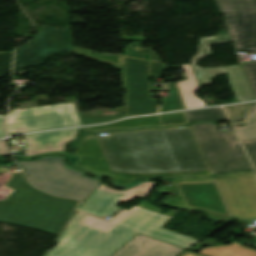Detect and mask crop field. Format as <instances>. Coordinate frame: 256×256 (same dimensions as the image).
Returning <instances> with one entry per match:
<instances>
[{"label": "crop field", "instance_id": "1", "mask_svg": "<svg viewBox=\"0 0 256 256\" xmlns=\"http://www.w3.org/2000/svg\"><path fill=\"white\" fill-rule=\"evenodd\" d=\"M111 171L139 175L209 170L188 126L97 139Z\"/></svg>", "mask_w": 256, "mask_h": 256}, {"label": "crop field", "instance_id": "2", "mask_svg": "<svg viewBox=\"0 0 256 256\" xmlns=\"http://www.w3.org/2000/svg\"><path fill=\"white\" fill-rule=\"evenodd\" d=\"M169 219L137 206L122 209L110 222L78 212L46 256H110L137 233L185 249L199 242L162 229Z\"/></svg>", "mask_w": 256, "mask_h": 256}, {"label": "crop field", "instance_id": "3", "mask_svg": "<svg viewBox=\"0 0 256 256\" xmlns=\"http://www.w3.org/2000/svg\"><path fill=\"white\" fill-rule=\"evenodd\" d=\"M11 174L4 185L11 191L0 201V221L60 234L78 200L53 197L30 186L22 172Z\"/></svg>", "mask_w": 256, "mask_h": 256}, {"label": "crop field", "instance_id": "4", "mask_svg": "<svg viewBox=\"0 0 256 256\" xmlns=\"http://www.w3.org/2000/svg\"><path fill=\"white\" fill-rule=\"evenodd\" d=\"M143 54L150 55L151 61H145ZM166 64L151 48L142 49L141 43L129 45V57L124 59L123 83L127 89V116L157 113L158 100L151 99L150 91H160L150 84L149 77H161Z\"/></svg>", "mask_w": 256, "mask_h": 256}, {"label": "crop field", "instance_id": "5", "mask_svg": "<svg viewBox=\"0 0 256 256\" xmlns=\"http://www.w3.org/2000/svg\"><path fill=\"white\" fill-rule=\"evenodd\" d=\"M63 162L61 157L18 161L33 186L56 196L86 201L100 180L84 177L83 173L63 166Z\"/></svg>", "mask_w": 256, "mask_h": 256}, {"label": "crop field", "instance_id": "6", "mask_svg": "<svg viewBox=\"0 0 256 256\" xmlns=\"http://www.w3.org/2000/svg\"><path fill=\"white\" fill-rule=\"evenodd\" d=\"M212 176L220 172L252 169L234 132L218 131L216 124L189 126Z\"/></svg>", "mask_w": 256, "mask_h": 256}, {"label": "crop field", "instance_id": "7", "mask_svg": "<svg viewBox=\"0 0 256 256\" xmlns=\"http://www.w3.org/2000/svg\"><path fill=\"white\" fill-rule=\"evenodd\" d=\"M46 99L37 96L32 101L22 103L20 107L9 114L6 125L9 135L46 129L81 125L76 113L78 112L77 98H66V104L55 105L53 109L37 106L38 100ZM60 108H69L70 114L61 115Z\"/></svg>", "mask_w": 256, "mask_h": 256}, {"label": "crop field", "instance_id": "8", "mask_svg": "<svg viewBox=\"0 0 256 256\" xmlns=\"http://www.w3.org/2000/svg\"><path fill=\"white\" fill-rule=\"evenodd\" d=\"M160 190L178 194L177 197L166 200L164 204L202 210L213 220L230 219L213 179L181 178Z\"/></svg>", "mask_w": 256, "mask_h": 256}, {"label": "crop field", "instance_id": "9", "mask_svg": "<svg viewBox=\"0 0 256 256\" xmlns=\"http://www.w3.org/2000/svg\"><path fill=\"white\" fill-rule=\"evenodd\" d=\"M71 27L43 26L34 39L16 49L13 74L22 68L41 64L43 60L56 53H72Z\"/></svg>", "mask_w": 256, "mask_h": 256}, {"label": "crop field", "instance_id": "10", "mask_svg": "<svg viewBox=\"0 0 256 256\" xmlns=\"http://www.w3.org/2000/svg\"><path fill=\"white\" fill-rule=\"evenodd\" d=\"M235 48L256 52V0H216Z\"/></svg>", "mask_w": 256, "mask_h": 256}, {"label": "crop field", "instance_id": "11", "mask_svg": "<svg viewBox=\"0 0 256 256\" xmlns=\"http://www.w3.org/2000/svg\"><path fill=\"white\" fill-rule=\"evenodd\" d=\"M233 219H256V178L244 171L215 178Z\"/></svg>", "mask_w": 256, "mask_h": 256}, {"label": "crop field", "instance_id": "12", "mask_svg": "<svg viewBox=\"0 0 256 256\" xmlns=\"http://www.w3.org/2000/svg\"><path fill=\"white\" fill-rule=\"evenodd\" d=\"M225 41H231L228 33L218 34L210 38L200 39V45L198 48L199 53L191 61V66L194 71L198 85L202 86V85L211 84L212 77L219 74L227 73L229 84L233 92L235 93L238 102L255 99L240 65L202 69L201 67L195 64V62L201 57L211 54L207 44L225 42Z\"/></svg>", "mask_w": 256, "mask_h": 256}, {"label": "crop field", "instance_id": "13", "mask_svg": "<svg viewBox=\"0 0 256 256\" xmlns=\"http://www.w3.org/2000/svg\"><path fill=\"white\" fill-rule=\"evenodd\" d=\"M149 130V129H144ZM113 133H109L111 135ZM103 137L99 135L90 134L85 137V139L80 143V145L75 149L73 154L79 157L78 162L75 166L82 167L92 171L95 174H106L114 177V183L117 185H127L132 181L140 177H168L174 178L181 175L193 176V177H204L211 175L209 171L203 172H189V173H175V174H163V175H150V176H139L130 175L122 173L110 172L98 142L96 138Z\"/></svg>", "mask_w": 256, "mask_h": 256}, {"label": "crop field", "instance_id": "14", "mask_svg": "<svg viewBox=\"0 0 256 256\" xmlns=\"http://www.w3.org/2000/svg\"><path fill=\"white\" fill-rule=\"evenodd\" d=\"M154 184L156 181H144L123 191H115L108 188L106 184H100L78 210L103 218L113 216L120 209L115 205L118 201L131 200L134 196L145 198Z\"/></svg>", "mask_w": 256, "mask_h": 256}, {"label": "crop field", "instance_id": "15", "mask_svg": "<svg viewBox=\"0 0 256 256\" xmlns=\"http://www.w3.org/2000/svg\"><path fill=\"white\" fill-rule=\"evenodd\" d=\"M81 129L82 128L24 136L27 142L25 146V156L48 152H64L65 144L74 140L77 131Z\"/></svg>", "mask_w": 256, "mask_h": 256}, {"label": "crop field", "instance_id": "16", "mask_svg": "<svg viewBox=\"0 0 256 256\" xmlns=\"http://www.w3.org/2000/svg\"><path fill=\"white\" fill-rule=\"evenodd\" d=\"M183 250L162 241L138 234L113 256H177Z\"/></svg>", "mask_w": 256, "mask_h": 256}, {"label": "crop field", "instance_id": "17", "mask_svg": "<svg viewBox=\"0 0 256 256\" xmlns=\"http://www.w3.org/2000/svg\"><path fill=\"white\" fill-rule=\"evenodd\" d=\"M187 80L177 83L186 109L206 106L204 100L194 96V92L198 89L193 71L190 65H183Z\"/></svg>", "mask_w": 256, "mask_h": 256}, {"label": "crop field", "instance_id": "18", "mask_svg": "<svg viewBox=\"0 0 256 256\" xmlns=\"http://www.w3.org/2000/svg\"><path fill=\"white\" fill-rule=\"evenodd\" d=\"M151 125L161 126L158 115L131 118V119H126L119 122H114L108 125L86 127V129H93L94 131H98V130H105L109 128H132V127H138V126L142 127V126H151Z\"/></svg>", "mask_w": 256, "mask_h": 256}, {"label": "crop field", "instance_id": "19", "mask_svg": "<svg viewBox=\"0 0 256 256\" xmlns=\"http://www.w3.org/2000/svg\"><path fill=\"white\" fill-rule=\"evenodd\" d=\"M199 253L207 256H256V251L238 243H231L222 247H211Z\"/></svg>", "mask_w": 256, "mask_h": 256}, {"label": "crop field", "instance_id": "20", "mask_svg": "<svg viewBox=\"0 0 256 256\" xmlns=\"http://www.w3.org/2000/svg\"><path fill=\"white\" fill-rule=\"evenodd\" d=\"M189 122L227 120L221 107L184 112Z\"/></svg>", "mask_w": 256, "mask_h": 256}, {"label": "crop field", "instance_id": "21", "mask_svg": "<svg viewBox=\"0 0 256 256\" xmlns=\"http://www.w3.org/2000/svg\"><path fill=\"white\" fill-rule=\"evenodd\" d=\"M162 91H168L170 97H162L160 112L184 109L175 83H164Z\"/></svg>", "mask_w": 256, "mask_h": 256}, {"label": "crop field", "instance_id": "22", "mask_svg": "<svg viewBox=\"0 0 256 256\" xmlns=\"http://www.w3.org/2000/svg\"><path fill=\"white\" fill-rule=\"evenodd\" d=\"M117 113L113 115H105L103 113L91 115L88 112L78 113V117L82 125L93 124V123H101L108 122L114 119L124 117L123 107H115Z\"/></svg>", "mask_w": 256, "mask_h": 256}, {"label": "crop field", "instance_id": "23", "mask_svg": "<svg viewBox=\"0 0 256 256\" xmlns=\"http://www.w3.org/2000/svg\"><path fill=\"white\" fill-rule=\"evenodd\" d=\"M248 123L246 126L240 129H236V132L240 138V140L245 139H255L256 138V109L253 110L250 114L244 117V121L232 123L236 124H244Z\"/></svg>", "mask_w": 256, "mask_h": 256}, {"label": "crop field", "instance_id": "24", "mask_svg": "<svg viewBox=\"0 0 256 256\" xmlns=\"http://www.w3.org/2000/svg\"><path fill=\"white\" fill-rule=\"evenodd\" d=\"M74 53L84 55V56H87V57H90V58H93V59H96L120 68L121 56H118V55L99 54V55L92 56V55H89L90 51L80 49V48H74Z\"/></svg>", "mask_w": 256, "mask_h": 256}, {"label": "crop field", "instance_id": "25", "mask_svg": "<svg viewBox=\"0 0 256 256\" xmlns=\"http://www.w3.org/2000/svg\"><path fill=\"white\" fill-rule=\"evenodd\" d=\"M256 107V102L225 107L230 120H238L244 117L250 110Z\"/></svg>", "mask_w": 256, "mask_h": 256}, {"label": "crop field", "instance_id": "26", "mask_svg": "<svg viewBox=\"0 0 256 256\" xmlns=\"http://www.w3.org/2000/svg\"><path fill=\"white\" fill-rule=\"evenodd\" d=\"M241 67L256 98V61L243 64Z\"/></svg>", "mask_w": 256, "mask_h": 256}, {"label": "crop field", "instance_id": "27", "mask_svg": "<svg viewBox=\"0 0 256 256\" xmlns=\"http://www.w3.org/2000/svg\"><path fill=\"white\" fill-rule=\"evenodd\" d=\"M160 116H161L163 125H170V124L181 125L188 122L183 112L173 113V114H164Z\"/></svg>", "mask_w": 256, "mask_h": 256}, {"label": "crop field", "instance_id": "28", "mask_svg": "<svg viewBox=\"0 0 256 256\" xmlns=\"http://www.w3.org/2000/svg\"><path fill=\"white\" fill-rule=\"evenodd\" d=\"M13 53H0V77L10 71Z\"/></svg>", "mask_w": 256, "mask_h": 256}, {"label": "crop field", "instance_id": "29", "mask_svg": "<svg viewBox=\"0 0 256 256\" xmlns=\"http://www.w3.org/2000/svg\"><path fill=\"white\" fill-rule=\"evenodd\" d=\"M250 159L256 168V139L242 141Z\"/></svg>", "mask_w": 256, "mask_h": 256}, {"label": "crop field", "instance_id": "30", "mask_svg": "<svg viewBox=\"0 0 256 256\" xmlns=\"http://www.w3.org/2000/svg\"><path fill=\"white\" fill-rule=\"evenodd\" d=\"M138 206L140 207H143V208H146V209H149V210H152V211H155V212H158V213H162L163 211L147 202H144L142 201ZM176 213V211H172V210H169L167 213H165L164 215H167V216H170L172 217L174 214Z\"/></svg>", "mask_w": 256, "mask_h": 256}, {"label": "crop field", "instance_id": "31", "mask_svg": "<svg viewBox=\"0 0 256 256\" xmlns=\"http://www.w3.org/2000/svg\"><path fill=\"white\" fill-rule=\"evenodd\" d=\"M217 243H218V241L213 240L211 238H208V239H206V240H204V241L194 245L193 247L189 248V250H192V251L196 252L201 247L208 246V245H213V244H217Z\"/></svg>", "mask_w": 256, "mask_h": 256}, {"label": "crop field", "instance_id": "32", "mask_svg": "<svg viewBox=\"0 0 256 256\" xmlns=\"http://www.w3.org/2000/svg\"><path fill=\"white\" fill-rule=\"evenodd\" d=\"M0 156H9L3 140H0Z\"/></svg>", "mask_w": 256, "mask_h": 256}, {"label": "crop field", "instance_id": "33", "mask_svg": "<svg viewBox=\"0 0 256 256\" xmlns=\"http://www.w3.org/2000/svg\"><path fill=\"white\" fill-rule=\"evenodd\" d=\"M4 118H5V116L0 115V137L6 136V133L3 129Z\"/></svg>", "mask_w": 256, "mask_h": 256}, {"label": "crop field", "instance_id": "34", "mask_svg": "<svg viewBox=\"0 0 256 256\" xmlns=\"http://www.w3.org/2000/svg\"><path fill=\"white\" fill-rule=\"evenodd\" d=\"M9 189L6 188H1L0 189V200L5 199V197L7 196V194L9 193Z\"/></svg>", "mask_w": 256, "mask_h": 256}, {"label": "crop field", "instance_id": "35", "mask_svg": "<svg viewBox=\"0 0 256 256\" xmlns=\"http://www.w3.org/2000/svg\"><path fill=\"white\" fill-rule=\"evenodd\" d=\"M180 256H203V255H198V254H193V253H190V252H187L185 251L182 255Z\"/></svg>", "mask_w": 256, "mask_h": 256}, {"label": "crop field", "instance_id": "36", "mask_svg": "<svg viewBox=\"0 0 256 256\" xmlns=\"http://www.w3.org/2000/svg\"><path fill=\"white\" fill-rule=\"evenodd\" d=\"M61 113L62 114H67V113H69V111H68V109H61Z\"/></svg>", "mask_w": 256, "mask_h": 256}, {"label": "crop field", "instance_id": "37", "mask_svg": "<svg viewBox=\"0 0 256 256\" xmlns=\"http://www.w3.org/2000/svg\"><path fill=\"white\" fill-rule=\"evenodd\" d=\"M9 170L8 168L0 167V172Z\"/></svg>", "mask_w": 256, "mask_h": 256}, {"label": "crop field", "instance_id": "38", "mask_svg": "<svg viewBox=\"0 0 256 256\" xmlns=\"http://www.w3.org/2000/svg\"><path fill=\"white\" fill-rule=\"evenodd\" d=\"M54 106V105H53ZM53 106H49L50 108H53Z\"/></svg>", "mask_w": 256, "mask_h": 256}]
</instances>
